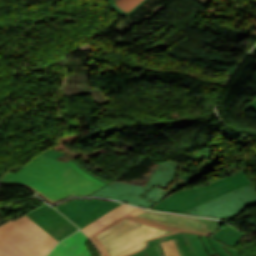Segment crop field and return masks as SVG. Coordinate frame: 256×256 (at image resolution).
<instances>
[{
	"mask_svg": "<svg viewBox=\"0 0 256 256\" xmlns=\"http://www.w3.org/2000/svg\"><path fill=\"white\" fill-rule=\"evenodd\" d=\"M249 104V103H248ZM248 108L256 111V100H254L253 102H251L249 105H247Z\"/></svg>",
	"mask_w": 256,
	"mask_h": 256,
	"instance_id": "crop-field-15",
	"label": "crop field"
},
{
	"mask_svg": "<svg viewBox=\"0 0 256 256\" xmlns=\"http://www.w3.org/2000/svg\"><path fill=\"white\" fill-rule=\"evenodd\" d=\"M126 204H121L120 206H118L116 209H114L113 211L109 212L108 214L102 216L101 218L97 219L96 221L92 222L91 224H89L87 227H85L84 229H82V231L85 233L88 230H90L91 228H93L94 226H96L97 224H99L100 222L104 221L105 219H107L108 217H110L111 215H113L114 213H116L117 211H119L121 208H123Z\"/></svg>",
	"mask_w": 256,
	"mask_h": 256,
	"instance_id": "crop-field-11",
	"label": "crop field"
},
{
	"mask_svg": "<svg viewBox=\"0 0 256 256\" xmlns=\"http://www.w3.org/2000/svg\"><path fill=\"white\" fill-rule=\"evenodd\" d=\"M118 213L143 219L146 221L154 222L171 228H175L182 231L199 233L208 235L209 230L205 229L207 225L201 223L199 220L180 215H171L159 212L148 211L144 209H139L131 206H126Z\"/></svg>",
	"mask_w": 256,
	"mask_h": 256,
	"instance_id": "crop-field-8",
	"label": "crop field"
},
{
	"mask_svg": "<svg viewBox=\"0 0 256 256\" xmlns=\"http://www.w3.org/2000/svg\"><path fill=\"white\" fill-rule=\"evenodd\" d=\"M112 6V9L119 15L129 16L133 11H135L141 4H143L146 0H142L139 2L133 9H131L128 13L124 14L115 4L114 0H109Z\"/></svg>",
	"mask_w": 256,
	"mask_h": 256,
	"instance_id": "crop-field-14",
	"label": "crop field"
},
{
	"mask_svg": "<svg viewBox=\"0 0 256 256\" xmlns=\"http://www.w3.org/2000/svg\"><path fill=\"white\" fill-rule=\"evenodd\" d=\"M25 215L36 222L58 241L78 230L65 217L47 204H44Z\"/></svg>",
	"mask_w": 256,
	"mask_h": 256,
	"instance_id": "crop-field-9",
	"label": "crop field"
},
{
	"mask_svg": "<svg viewBox=\"0 0 256 256\" xmlns=\"http://www.w3.org/2000/svg\"><path fill=\"white\" fill-rule=\"evenodd\" d=\"M250 182L251 180L245 171H242L203 187L175 192L167 199H163L151 207V209L182 213Z\"/></svg>",
	"mask_w": 256,
	"mask_h": 256,
	"instance_id": "crop-field-5",
	"label": "crop field"
},
{
	"mask_svg": "<svg viewBox=\"0 0 256 256\" xmlns=\"http://www.w3.org/2000/svg\"><path fill=\"white\" fill-rule=\"evenodd\" d=\"M201 222L207 224V229L212 230V232H214L215 230H217V228H219V226L221 224H223V222H220L218 220H214V219H200Z\"/></svg>",
	"mask_w": 256,
	"mask_h": 256,
	"instance_id": "crop-field-13",
	"label": "crop field"
},
{
	"mask_svg": "<svg viewBox=\"0 0 256 256\" xmlns=\"http://www.w3.org/2000/svg\"><path fill=\"white\" fill-rule=\"evenodd\" d=\"M209 0H204L201 4L206 7Z\"/></svg>",
	"mask_w": 256,
	"mask_h": 256,
	"instance_id": "crop-field-16",
	"label": "crop field"
},
{
	"mask_svg": "<svg viewBox=\"0 0 256 256\" xmlns=\"http://www.w3.org/2000/svg\"><path fill=\"white\" fill-rule=\"evenodd\" d=\"M178 232L182 231L116 213L85 234L102 256H128L145 248L147 240Z\"/></svg>",
	"mask_w": 256,
	"mask_h": 256,
	"instance_id": "crop-field-2",
	"label": "crop field"
},
{
	"mask_svg": "<svg viewBox=\"0 0 256 256\" xmlns=\"http://www.w3.org/2000/svg\"><path fill=\"white\" fill-rule=\"evenodd\" d=\"M57 243L25 215L0 226V256H45Z\"/></svg>",
	"mask_w": 256,
	"mask_h": 256,
	"instance_id": "crop-field-4",
	"label": "crop field"
},
{
	"mask_svg": "<svg viewBox=\"0 0 256 256\" xmlns=\"http://www.w3.org/2000/svg\"><path fill=\"white\" fill-rule=\"evenodd\" d=\"M256 206V188L252 183L212 199L183 214L234 220L245 208Z\"/></svg>",
	"mask_w": 256,
	"mask_h": 256,
	"instance_id": "crop-field-6",
	"label": "crop field"
},
{
	"mask_svg": "<svg viewBox=\"0 0 256 256\" xmlns=\"http://www.w3.org/2000/svg\"><path fill=\"white\" fill-rule=\"evenodd\" d=\"M0 183L25 185L50 204L70 196H90L109 184L74 159L64 163L42 155L15 174L8 172Z\"/></svg>",
	"mask_w": 256,
	"mask_h": 256,
	"instance_id": "crop-field-1",
	"label": "crop field"
},
{
	"mask_svg": "<svg viewBox=\"0 0 256 256\" xmlns=\"http://www.w3.org/2000/svg\"><path fill=\"white\" fill-rule=\"evenodd\" d=\"M119 204L108 200L74 199L63 202L56 208L81 229Z\"/></svg>",
	"mask_w": 256,
	"mask_h": 256,
	"instance_id": "crop-field-7",
	"label": "crop field"
},
{
	"mask_svg": "<svg viewBox=\"0 0 256 256\" xmlns=\"http://www.w3.org/2000/svg\"><path fill=\"white\" fill-rule=\"evenodd\" d=\"M200 3L203 1V0H198Z\"/></svg>",
	"mask_w": 256,
	"mask_h": 256,
	"instance_id": "crop-field-17",
	"label": "crop field"
},
{
	"mask_svg": "<svg viewBox=\"0 0 256 256\" xmlns=\"http://www.w3.org/2000/svg\"><path fill=\"white\" fill-rule=\"evenodd\" d=\"M140 0H115L118 7L124 12H128L133 8Z\"/></svg>",
	"mask_w": 256,
	"mask_h": 256,
	"instance_id": "crop-field-12",
	"label": "crop field"
},
{
	"mask_svg": "<svg viewBox=\"0 0 256 256\" xmlns=\"http://www.w3.org/2000/svg\"><path fill=\"white\" fill-rule=\"evenodd\" d=\"M87 237L78 231L69 238L63 240L51 252L49 256H91L85 247Z\"/></svg>",
	"mask_w": 256,
	"mask_h": 256,
	"instance_id": "crop-field-10",
	"label": "crop field"
},
{
	"mask_svg": "<svg viewBox=\"0 0 256 256\" xmlns=\"http://www.w3.org/2000/svg\"><path fill=\"white\" fill-rule=\"evenodd\" d=\"M176 168L175 162H164L158 166L145 187L115 181L92 196H105L150 208L171 191L201 177L203 174V171L199 170L192 175H184L180 177L178 183L166 191L167 186L172 182L177 172Z\"/></svg>",
	"mask_w": 256,
	"mask_h": 256,
	"instance_id": "crop-field-3",
	"label": "crop field"
}]
</instances>
